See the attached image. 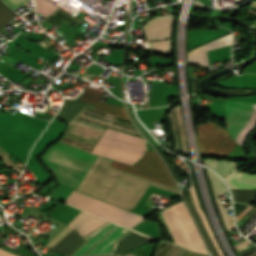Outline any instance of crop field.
Instances as JSON below:
<instances>
[{
	"label": "crop field",
	"mask_w": 256,
	"mask_h": 256,
	"mask_svg": "<svg viewBox=\"0 0 256 256\" xmlns=\"http://www.w3.org/2000/svg\"><path fill=\"white\" fill-rule=\"evenodd\" d=\"M111 160L97 156L77 189L78 192L132 211L149 185L178 190L109 167Z\"/></svg>",
	"instance_id": "obj_1"
},
{
	"label": "crop field",
	"mask_w": 256,
	"mask_h": 256,
	"mask_svg": "<svg viewBox=\"0 0 256 256\" xmlns=\"http://www.w3.org/2000/svg\"><path fill=\"white\" fill-rule=\"evenodd\" d=\"M95 158L96 155L58 143L51 146L42 160L59 182L77 188Z\"/></svg>",
	"instance_id": "obj_2"
},
{
	"label": "crop field",
	"mask_w": 256,
	"mask_h": 256,
	"mask_svg": "<svg viewBox=\"0 0 256 256\" xmlns=\"http://www.w3.org/2000/svg\"><path fill=\"white\" fill-rule=\"evenodd\" d=\"M145 140L106 129L92 153L132 165L145 151Z\"/></svg>",
	"instance_id": "obj_3"
},
{
	"label": "crop field",
	"mask_w": 256,
	"mask_h": 256,
	"mask_svg": "<svg viewBox=\"0 0 256 256\" xmlns=\"http://www.w3.org/2000/svg\"><path fill=\"white\" fill-rule=\"evenodd\" d=\"M176 244L209 254L183 201L161 213Z\"/></svg>",
	"instance_id": "obj_4"
},
{
	"label": "crop field",
	"mask_w": 256,
	"mask_h": 256,
	"mask_svg": "<svg viewBox=\"0 0 256 256\" xmlns=\"http://www.w3.org/2000/svg\"><path fill=\"white\" fill-rule=\"evenodd\" d=\"M66 203L80 208L87 213L129 227L133 226L144 218L142 216L136 215L129 211L112 206L110 204L104 203L102 201L82 195L77 192H73V194L68 198Z\"/></svg>",
	"instance_id": "obj_5"
},
{
	"label": "crop field",
	"mask_w": 256,
	"mask_h": 256,
	"mask_svg": "<svg viewBox=\"0 0 256 256\" xmlns=\"http://www.w3.org/2000/svg\"><path fill=\"white\" fill-rule=\"evenodd\" d=\"M223 106L227 110V128L231 137L240 145L256 123V105L237 101L224 100Z\"/></svg>",
	"instance_id": "obj_6"
},
{
	"label": "crop field",
	"mask_w": 256,
	"mask_h": 256,
	"mask_svg": "<svg viewBox=\"0 0 256 256\" xmlns=\"http://www.w3.org/2000/svg\"><path fill=\"white\" fill-rule=\"evenodd\" d=\"M111 167L176 188L163 162L153 151L147 150L143 158L132 167L114 161Z\"/></svg>",
	"instance_id": "obj_7"
},
{
	"label": "crop field",
	"mask_w": 256,
	"mask_h": 256,
	"mask_svg": "<svg viewBox=\"0 0 256 256\" xmlns=\"http://www.w3.org/2000/svg\"><path fill=\"white\" fill-rule=\"evenodd\" d=\"M198 146L200 154L227 155L236 143L232 141L227 130L220 128L213 122L199 124L197 127Z\"/></svg>",
	"instance_id": "obj_8"
},
{
	"label": "crop field",
	"mask_w": 256,
	"mask_h": 256,
	"mask_svg": "<svg viewBox=\"0 0 256 256\" xmlns=\"http://www.w3.org/2000/svg\"><path fill=\"white\" fill-rule=\"evenodd\" d=\"M173 16H157L143 25L148 41L170 38ZM151 52L170 53L171 39L148 43Z\"/></svg>",
	"instance_id": "obj_9"
},
{
	"label": "crop field",
	"mask_w": 256,
	"mask_h": 256,
	"mask_svg": "<svg viewBox=\"0 0 256 256\" xmlns=\"http://www.w3.org/2000/svg\"><path fill=\"white\" fill-rule=\"evenodd\" d=\"M185 199L196 219V222L208 244V247L212 253V256H223L220 248L218 247L212 232L210 230V227L204 217V214L202 210L199 207L195 192L193 190V186L190 190H187V194L185 196Z\"/></svg>",
	"instance_id": "obj_10"
},
{
	"label": "crop field",
	"mask_w": 256,
	"mask_h": 256,
	"mask_svg": "<svg viewBox=\"0 0 256 256\" xmlns=\"http://www.w3.org/2000/svg\"><path fill=\"white\" fill-rule=\"evenodd\" d=\"M107 221L96 218L94 216L88 215L84 212H80L69 224L68 226L60 232L50 243H48L45 247L51 248L55 245L59 240H61L67 233H69L74 227L77 229L79 234L83 237L100 227Z\"/></svg>",
	"instance_id": "obj_11"
},
{
	"label": "crop field",
	"mask_w": 256,
	"mask_h": 256,
	"mask_svg": "<svg viewBox=\"0 0 256 256\" xmlns=\"http://www.w3.org/2000/svg\"><path fill=\"white\" fill-rule=\"evenodd\" d=\"M231 42H232V33L225 35L221 38H218L214 41H211L207 44H204L192 51H189L187 53V61L203 64L209 67L206 51L212 50L221 46L230 45Z\"/></svg>",
	"instance_id": "obj_12"
},
{
	"label": "crop field",
	"mask_w": 256,
	"mask_h": 256,
	"mask_svg": "<svg viewBox=\"0 0 256 256\" xmlns=\"http://www.w3.org/2000/svg\"><path fill=\"white\" fill-rule=\"evenodd\" d=\"M85 242L86 241L79 236L78 232L73 229L69 234H67L61 241H59L46 253L52 256L58 251L65 256H71Z\"/></svg>",
	"instance_id": "obj_13"
},
{
	"label": "crop field",
	"mask_w": 256,
	"mask_h": 256,
	"mask_svg": "<svg viewBox=\"0 0 256 256\" xmlns=\"http://www.w3.org/2000/svg\"><path fill=\"white\" fill-rule=\"evenodd\" d=\"M84 106L89 107L91 109H93L94 107L93 104L72 99H64V104L57 115L63 121L69 123Z\"/></svg>",
	"instance_id": "obj_14"
},
{
	"label": "crop field",
	"mask_w": 256,
	"mask_h": 256,
	"mask_svg": "<svg viewBox=\"0 0 256 256\" xmlns=\"http://www.w3.org/2000/svg\"><path fill=\"white\" fill-rule=\"evenodd\" d=\"M226 181L230 188L256 189V175L233 173Z\"/></svg>",
	"instance_id": "obj_15"
},
{
	"label": "crop field",
	"mask_w": 256,
	"mask_h": 256,
	"mask_svg": "<svg viewBox=\"0 0 256 256\" xmlns=\"http://www.w3.org/2000/svg\"><path fill=\"white\" fill-rule=\"evenodd\" d=\"M204 164L216 170L224 178L230 175L236 163L218 160H204Z\"/></svg>",
	"instance_id": "obj_16"
},
{
	"label": "crop field",
	"mask_w": 256,
	"mask_h": 256,
	"mask_svg": "<svg viewBox=\"0 0 256 256\" xmlns=\"http://www.w3.org/2000/svg\"><path fill=\"white\" fill-rule=\"evenodd\" d=\"M233 201L251 203L256 198V190H236L231 189Z\"/></svg>",
	"instance_id": "obj_17"
},
{
	"label": "crop field",
	"mask_w": 256,
	"mask_h": 256,
	"mask_svg": "<svg viewBox=\"0 0 256 256\" xmlns=\"http://www.w3.org/2000/svg\"><path fill=\"white\" fill-rule=\"evenodd\" d=\"M94 110L114 114L116 116H120V117L129 119V117L127 116V114L125 112V109L122 107H117V106H112V105H107V104L97 102V104L94 107Z\"/></svg>",
	"instance_id": "obj_18"
},
{
	"label": "crop field",
	"mask_w": 256,
	"mask_h": 256,
	"mask_svg": "<svg viewBox=\"0 0 256 256\" xmlns=\"http://www.w3.org/2000/svg\"><path fill=\"white\" fill-rule=\"evenodd\" d=\"M35 4L36 11L46 17L59 8L48 0H35Z\"/></svg>",
	"instance_id": "obj_19"
},
{
	"label": "crop field",
	"mask_w": 256,
	"mask_h": 256,
	"mask_svg": "<svg viewBox=\"0 0 256 256\" xmlns=\"http://www.w3.org/2000/svg\"><path fill=\"white\" fill-rule=\"evenodd\" d=\"M206 172L213 187V193L215 197L220 196L221 194L227 192L226 187L216 175L207 170Z\"/></svg>",
	"instance_id": "obj_20"
},
{
	"label": "crop field",
	"mask_w": 256,
	"mask_h": 256,
	"mask_svg": "<svg viewBox=\"0 0 256 256\" xmlns=\"http://www.w3.org/2000/svg\"><path fill=\"white\" fill-rule=\"evenodd\" d=\"M17 14L8 9L0 0V30L9 23Z\"/></svg>",
	"instance_id": "obj_21"
},
{
	"label": "crop field",
	"mask_w": 256,
	"mask_h": 256,
	"mask_svg": "<svg viewBox=\"0 0 256 256\" xmlns=\"http://www.w3.org/2000/svg\"><path fill=\"white\" fill-rule=\"evenodd\" d=\"M86 90V89H85ZM84 93V92H83ZM102 91L87 88L85 93L80 98L81 101L96 104L98 97L101 95ZM103 94V93H102Z\"/></svg>",
	"instance_id": "obj_22"
},
{
	"label": "crop field",
	"mask_w": 256,
	"mask_h": 256,
	"mask_svg": "<svg viewBox=\"0 0 256 256\" xmlns=\"http://www.w3.org/2000/svg\"><path fill=\"white\" fill-rule=\"evenodd\" d=\"M216 201H217L218 209H219V212H220V214H221V216H222V219H223V221H224V224H225L226 229H227V230L233 229L234 226H233V221H232L231 215L227 216V213H226V211L223 209V207H222V205H221L219 199H216Z\"/></svg>",
	"instance_id": "obj_23"
},
{
	"label": "crop field",
	"mask_w": 256,
	"mask_h": 256,
	"mask_svg": "<svg viewBox=\"0 0 256 256\" xmlns=\"http://www.w3.org/2000/svg\"><path fill=\"white\" fill-rule=\"evenodd\" d=\"M7 156L9 154L5 152L1 147H0V160L8 167V168H13L19 175L21 173V169H19Z\"/></svg>",
	"instance_id": "obj_24"
},
{
	"label": "crop field",
	"mask_w": 256,
	"mask_h": 256,
	"mask_svg": "<svg viewBox=\"0 0 256 256\" xmlns=\"http://www.w3.org/2000/svg\"><path fill=\"white\" fill-rule=\"evenodd\" d=\"M2 1L14 10L29 0H2Z\"/></svg>",
	"instance_id": "obj_25"
},
{
	"label": "crop field",
	"mask_w": 256,
	"mask_h": 256,
	"mask_svg": "<svg viewBox=\"0 0 256 256\" xmlns=\"http://www.w3.org/2000/svg\"><path fill=\"white\" fill-rule=\"evenodd\" d=\"M189 250L181 248L177 246L174 250H172L167 256H183L186 254Z\"/></svg>",
	"instance_id": "obj_26"
},
{
	"label": "crop field",
	"mask_w": 256,
	"mask_h": 256,
	"mask_svg": "<svg viewBox=\"0 0 256 256\" xmlns=\"http://www.w3.org/2000/svg\"><path fill=\"white\" fill-rule=\"evenodd\" d=\"M0 256H16L10 252H6L0 249Z\"/></svg>",
	"instance_id": "obj_27"
},
{
	"label": "crop field",
	"mask_w": 256,
	"mask_h": 256,
	"mask_svg": "<svg viewBox=\"0 0 256 256\" xmlns=\"http://www.w3.org/2000/svg\"><path fill=\"white\" fill-rule=\"evenodd\" d=\"M184 256H204V255H202V254H197V253H194V252H191V251H189L186 255H184Z\"/></svg>",
	"instance_id": "obj_28"
},
{
	"label": "crop field",
	"mask_w": 256,
	"mask_h": 256,
	"mask_svg": "<svg viewBox=\"0 0 256 256\" xmlns=\"http://www.w3.org/2000/svg\"><path fill=\"white\" fill-rule=\"evenodd\" d=\"M104 256H111V255H104Z\"/></svg>",
	"instance_id": "obj_29"
},
{
	"label": "crop field",
	"mask_w": 256,
	"mask_h": 256,
	"mask_svg": "<svg viewBox=\"0 0 256 256\" xmlns=\"http://www.w3.org/2000/svg\"><path fill=\"white\" fill-rule=\"evenodd\" d=\"M113 256H116V255H113Z\"/></svg>",
	"instance_id": "obj_30"
},
{
	"label": "crop field",
	"mask_w": 256,
	"mask_h": 256,
	"mask_svg": "<svg viewBox=\"0 0 256 256\" xmlns=\"http://www.w3.org/2000/svg\"><path fill=\"white\" fill-rule=\"evenodd\" d=\"M205 256H207V255H205Z\"/></svg>",
	"instance_id": "obj_31"
}]
</instances>
